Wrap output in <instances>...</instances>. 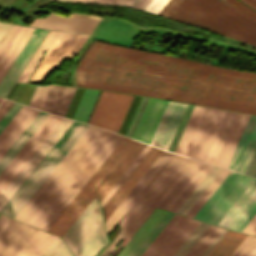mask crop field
<instances>
[{
    "label": "crop field",
    "mask_w": 256,
    "mask_h": 256,
    "mask_svg": "<svg viewBox=\"0 0 256 256\" xmlns=\"http://www.w3.org/2000/svg\"><path fill=\"white\" fill-rule=\"evenodd\" d=\"M76 86L256 114V73L93 41Z\"/></svg>",
    "instance_id": "obj_1"
},
{
    "label": "crop field",
    "mask_w": 256,
    "mask_h": 256,
    "mask_svg": "<svg viewBox=\"0 0 256 256\" xmlns=\"http://www.w3.org/2000/svg\"><path fill=\"white\" fill-rule=\"evenodd\" d=\"M159 14L256 46V12L238 0H169Z\"/></svg>",
    "instance_id": "obj_2"
},
{
    "label": "crop field",
    "mask_w": 256,
    "mask_h": 256,
    "mask_svg": "<svg viewBox=\"0 0 256 256\" xmlns=\"http://www.w3.org/2000/svg\"><path fill=\"white\" fill-rule=\"evenodd\" d=\"M256 213V179L230 172L194 218L241 232Z\"/></svg>",
    "instance_id": "obj_3"
},
{
    "label": "crop field",
    "mask_w": 256,
    "mask_h": 256,
    "mask_svg": "<svg viewBox=\"0 0 256 256\" xmlns=\"http://www.w3.org/2000/svg\"><path fill=\"white\" fill-rule=\"evenodd\" d=\"M122 138L104 130L29 224L47 231Z\"/></svg>",
    "instance_id": "obj_4"
},
{
    "label": "crop field",
    "mask_w": 256,
    "mask_h": 256,
    "mask_svg": "<svg viewBox=\"0 0 256 256\" xmlns=\"http://www.w3.org/2000/svg\"><path fill=\"white\" fill-rule=\"evenodd\" d=\"M145 146L146 144L124 137L48 232L62 237L95 196L98 202L101 200ZM107 174L108 177L95 191Z\"/></svg>",
    "instance_id": "obj_5"
},
{
    "label": "crop field",
    "mask_w": 256,
    "mask_h": 256,
    "mask_svg": "<svg viewBox=\"0 0 256 256\" xmlns=\"http://www.w3.org/2000/svg\"><path fill=\"white\" fill-rule=\"evenodd\" d=\"M192 161L193 159L177 154L174 155V157L164 167V169L155 178L151 185L146 189V191L141 195L137 202L123 217L121 220V229L117 236L99 256H109L125 235L128 238L131 237V235L141 225V223L155 208V206L178 180V178L187 169V167L192 163Z\"/></svg>",
    "instance_id": "obj_6"
},
{
    "label": "crop field",
    "mask_w": 256,
    "mask_h": 256,
    "mask_svg": "<svg viewBox=\"0 0 256 256\" xmlns=\"http://www.w3.org/2000/svg\"><path fill=\"white\" fill-rule=\"evenodd\" d=\"M87 127L88 125L74 121L16 193L1 209L0 213L14 218Z\"/></svg>",
    "instance_id": "obj_7"
},
{
    "label": "crop field",
    "mask_w": 256,
    "mask_h": 256,
    "mask_svg": "<svg viewBox=\"0 0 256 256\" xmlns=\"http://www.w3.org/2000/svg\"><path fill=\"white\" fill-rule=\"evenodd\" d=\"M225 112L195 106L174 152L204 161Z\"/></svg>",
    "instance_id": "obj_8"
},
{
    "label": "crop field",
    "mask_w": 256,
    "mask_h": 256,
    "mask_svg": "<svg viewBox=\"0 0 256 256\" xmlns=\"http://www.w3.org/2000/svg\"><path fill=\"white\" fill-rule=\"evenodd\" d=\"M103 129L89 126L48 178L25 204L15 219L28 223L65 176L75 166L88 148L93 144Z\"/></svg>",
    "instance_id": "obj_9"
},
{
    "label": "crop field",
    "mask_w": 256,
    "mask_h": 256,
    "mask_svg": "<svg viewBox=\"0 0 256 256\" xmlns=\"http://www.w3.org/2000/svg\"><path fill=\"white\" fill-rule=\"evenodd\" d=\"M62 238L75 256H96L105 246L108 240L95 198Z\"/></svg>",
    "instance_id": "obj_10"
},
{
    "label": "crop field",
    "mask_w": 256,
    "mask_h": 256,
    "mask_svg": "<svg viewBox=\"0 0 256 256\" xmlns=\"http://www.w3.org/2000/svg\"><path fill=\"white\" fill-rule=\"evenodd\" d=\"M75 34L50 31L42 41L41 45L25 67L17 81L26 82L29 74L42 56L44 50L49 47L44 59L33 74L29 83H42L51 72L52 68L65 51ZM46 51V50H45ZM31 75V74H30Z\"/></svg>",
    "instance_id": "obj_11"
},
{
    "label": "crop field",
    "mask_w": 256,
    "mask_h": 256,
    "mask_svg": "<svg viewBox=\"0 0 256 256\" xmlns=\"http://www.w3.org/2000/svg\"><path fill=\"white\" fill-rule=\"evenodd\" d=\"M198 223L174 214L141 256H172Z\"/></svg>",
    "instance_id": "obj_12"
},
{
    "label": "crop field",
    "mask_w": 256,
    "mask_h": 256,
    "mask_svg": "<svg viewBox=\"0 0 256 256\" xmlns=\"http://www.w3.org/2000/svg\"><path fill=\"white\" fill-rule=\"evenodd\" d=\"M134 95L102 92L89 124L118 131Z\"/></svg>",
    "instance_id": "obj_13"
},
{
    "label": "crop field",
    "mask_w": 256,
    "mask_h": 256,
    "mask_svg": "<svg viewBox=\"0 0 256 256\" xmlns=\"http://www.w3.org/2000/svg\"><path fill=\"white\" fill-rule=\"evenodd\" d=\"M61 117L49 114L25 145L0 174V193L47 137ZM57 126V125H56Z\"/></svg>",
    "instance_id": "obj_14"
},
{
    "label": "crop field",
    "mask_w": 256,
    "mask_h": 256,
    "mask_svg": "<svg viewBox=\"0 0 256 256\" xmlns=\"http://www.w3.org/2000/svg\"><path fill=\"white\" fill-rule=\"evenodd\" d=\"M211 167L212 165L194 160L163 201L161 200L159 206L157 205L158 208L176 212Z\"/></svg>",
    "instance_id": "obj_15"
},
{
    "label": "crop field",
    "mask_w": 256,
    "mask_h": 256,
    "mask_svg": "<svg viewBox=\"0 0 256 256\" xmlns=\"http://www.w3.org/2000/svg\"><path fill=\"white\" fill-rule=\"evenodd\" d=\"M72 122V120L63 118L62 121L58 124V126L48 136V138L42 143V145L37 149V151L32 155V157L26 162V164L17 173V175L13 178L9 185L0 194V209L5 205V203L14 194L18 187L23 183V181L28 177V175L33 171V169L38 165V163L43 159V157L48 153V151L53 147L57 140L72 124Z\"/></svg>",
    "instance_id": "obj_16"
},
{
    "label": "crop field",
    "mask_w": 256,
    "mask_h": 256,
    "mask_svg": "<svg viewBox=\"0 0 256 256\" xmlns=\"http://www.w3.org/2000/svg\"><path fill=\"white\" fill-rule=\"evenodd\" d=\"M173 153L163 151L162 154L157 158L153 165L148 169L144 176L139 180L135 187L125 197L121 204L116 208L112 215L105 222L107 234L117 224L120 218L130 209L135 201L140 197L144 190L154 180L158 173L173 157Z\"/></svg>",
    "instance_id": "obj_17"
},
{
    "label": "crop field",
    "mask_w": 256,
    "mask_h": 256,
    "mask_svg": "<svg viewBox=\"0 0 256 256\" xmlns=\"http://www.w3.org/2000/svg\"><path fill=\"white\" fill-rule=\"evenodd\" d=\"M100 19V17L88 15L61 16L51 13L46 18H36L30 26L90 34Z\"/></svg>",
    "instance_id": "obj_18"
},
{
    "label": "crop field",
    "mask_w": 256,
    "mask_h": 256,
    "mask_svg": "<svg viewBox=\"0 0 256 256\" xmlns=\"http://www.w3.org/2000/svg\"><path fill=\"white\" fill-rule=\"evenodd\" d=\"M15 220L6 217L0 224V237L8 230ZM38 229L16 221L0 238V256H15L18 251L32 238Z\"/></svg>",
    "instance_id": "obj_19"
},
{
    "label": "crop field",
    "mask_w": 256,
    "mask_h": 256,
    "mask_svg": "<svg viewBox=\"0 0 256 256\" xmlns=\"http://www.w3.org/2000/svg\"><path fill=\"white\" fill-rule=\"evenodd\" d=\"M149 151V150H148ZM162 150L152 147L110 199L102 207L104 213V219L111 215L115 208L120 204L124 197L129 193L133 186L143 176L147 169L152 165L156 158L161 154Z\"/></svg>",
    "instance_id": "obj_20"
},
{
    "label": "crop field",
    "mask_w": 256,
    "mask_h": 256,
    "mask_svg": "<svg viewBox=\"0 0 256 256\" xmlns=\"http://www.w3.org/2000/svg\"><path fill=\"white\" fill-rule=\"evenodd\" d=\"M255 149L256 116L251 115L227 168L244 174Z\"/></svg>",
    "instance_id": "obj_21"
},
{
    "label": "crop field",
    "mask_w": 256,
    "mask_h": 256,
    "mask_svg": "<svg viewBox=\"0 0 256 256\" xmlns=\"http://www.w3.org/2000/svg\"><path fill=\"white\" fill-rule=\"evenodd\" d=\"M186 105L178 102H168L150 143L151 145L168 149Z\"/></svg>",
    "instance_id": "obj_22"
},
{
    "label": "crop field",
    "mask_w": 256,
    "mask_h": 256,
    "mask_svg": "<svg viewBox=\"0 0 256 256\" xmlns=\"http://www.w3.org/2000/svg\"><path fill=\"white\" fill-rule=\"evenodd\" d=\"M168 101L149 98L132 134V138L150 143Z\"/></svg>",
    "instance_id": "obj_23"
},
{
    "label": "crop field",
    "mask_w": 256,
    "mask_h": 256,
    "mask_svg": "<svg viewBox=\"0 0 256 256\" xmlns=\"http://www.w3.org/2000/svg\"><path fill=\"white\" fill-rule=\"evenodd\" d=\"M47 31L35 29L17 58L15 59L14 63L0 82V96L4 97L23 67L25 66L26 62L44 37Z\"/></svg>",
    "instance_id": "obj_24"
},
{
    "label": "crop field",
    "mask_w": 256,
    "mask_h": 256,
    "mask_svg": "<svg viewBox=\"0 0 256 256\" xmlns=\"http://www.w3.org/2000/svg\"><path fill=\"white\" fill-rule=\"evenodd\" d=\"M39 110L23 105L0 133V158L38 114Z\"/></svg>",
    "instance_id": "obj_25"
},
{
    "label": "crop field",
    "mask_w": 256,
    "mask_h": 256,
    "mask_svg": "<svg viewBox=\"0 0 256 256\" xmlns=\"http://www.w3.org/2000/svg\"><path fill=\"white\" fill-rule=\"evenodd\" d=\"M250 115L237 113L229 129L226 139L215 161V165L227 167L242 131Z\"/></svg>",
    "instance_id": "obj_26"
},
{
    "label": "crop field",
    "mask_w": 256,
    "mask_h": 256,
    "mask_svg": "<svg viewBox=\"0 0 256 256\" xmlns=\"http://www.w3.org/2000/svg\"><path fill=\"white\" fill-rule=\"evenodd\" d=\"M75 89L73 87L52 85L41 109L63 116Z\"/></svg>",
    "instance_id": "obj_27"
},
{
    "label": "crop field",
    "mask_w": 256,
    "mask_h": 256,
    "mask_svg": "<svg viewBox=\"0 0 256 256\" xmlns=\"http://www.w3.org/2000/svg\"><path fill=\"white\" fill-rule=\"evenodd\" d=\"M47 115L48 113L40 111L39 114L34 118V120L29 124V126L24 130V132L19 136V138L14 142V144L9 148V150L4 154V156L0 159V172L10 162V160L24 145V143L33 134V132L42 123V121L47 117Z\"/></svg>",
    "instance_id": "obj_28"
},
{
    "label": "crop field",
    "mask_w": 256,
    "mask_h": 256,
    "mask_svg": "<svg viewBox=\"0 0 256 256\" xmlns=\"http://www.w3.org/2000/svg\"><path fill=\"white\" fill-rule=\"evenodd\" d=\"M165 213L166 211L156 209L154 213L149 217V219L144 223V225L139 229V231L134 235V237L129 241V243L125 246L119 256H130Z\"/></svg>",
    "instance_id": "obj_29"
},
{
    "label": "crop field",
    "mask_w": 256,
    "mask_h": 256,
    "mask_svg": "<svg viewBox=\"0 0 256 256\" xmlns=\"http://www.w3.org/2000/svg\"><path fill=\"white\" fill-rule=\"evenodd\" d=\"M245 236V234L228 230L207 256H230Z\"/></svg>",
    "instance_id": "obj_30"
},
{
    "label": "crop field",
    "mask_w": 256,
    "mask_h": 256,
    "mask_svg": "<svg viewBox=\"0 0 256 256\" xmlns=\"http://www.w3.org/2000/svg\"><path fill=\"white\" fill-rule=\"evenodd\" d=\"M33 31V28L24 27V29L16 39L15 43L13 44V46L11 47V49L9 50V52L7 53V55L0 64V81Z\"/></svg>",
    "instance_id": "obj_31"
},
{
    "label": "crop field",
    "mask_w": 256,
    "mask_h": 256,
    "mask_svg": "<svg viewBox=\"0 0 256 256\" xmlns=\"http://www.w3.org/2000/svg\"><path fill=\"white\" fill-rule=\"evenodd\" d=\"M222 168L213 166L208 174L204 177L201 183L189 196L187 201L185 200L181 207L178 209L177 213L185 215L186 212L191 208V206L196 202V200L201 196V194L206 190V188L211 184V182L216 178V176L221 172Z\"/></svg>",
    "instance_id": "obj_32"
},
{
    "label": "crop field",
    "mask_w": 256,
    "mask_h": 256,
    "mask_svg": "<svg viewBox=\"0 0 256 256\" xmlns=\"http://www.w3.org/2000/svg\"><path fill=\"white\" fill-rule=\"evenodd\" d=\"M235 114L236 113H234V112H229V111L226 112L224 119L221 123V126L218 130V133H217V135L214 139V142L211 146V149L208 153V156L205 160L206 162H209L212 164L214 163Z\"/></svg>",
    "instance_id": "obj_33"
},
{
    "label": "crop field",
    "mask_w": 256,
    "mask_h": 256,
    "mask_svg": "<svg viewBox=\"0 0 256 256\" xmlns=\"http://www.w3.org/2000/svg\"><path fill=\"white\" fill-rule=\"evenodd\" d=\"M99 92L100 91L97 90H85L81 98V101L77 107V110L72 118L73 120H77L84 123L86 122Z\"/></svg>",
    "instance_id": "obj_34"
},
{
    "label": "crop field",
    "mask_w": 256,
    "mask_h": 256,
    "mask_svg": "<svg viewBox=\"0 0 256 256\" xmlns=\"http://www.w3.org/2000/svg\"><path fill=\"white\" fill-rule=\"evenodd\" d=\"M221 230L222 228L210 225L185 256H201Z\"/></svg>",
    "instance_id": "obj_35"
},
{
    "label": "crop field",
    "mask_w": 256,
    "mask_h": 256,
    "mask_svg": "<svg viewBox=\"0 0 256 256\" xmlns=\"http://www.w3.org/2000/svg\"><path fill=\"white\" fill-rule=\"evenodd\" d=\"M229 170L223 169L222 172L217 176V178L212 182V184L207 188V190L202 194V196L197 200V202L192 206V208L187 212V216L193 217L198 209L203 205L219 183L228 174Z\"/></svg>",
    "instance_id": "obj_36"
},
{
    "label": "crop field",
    "mask_w": 256,
    "mask_h": 256,
    "mask_svg": "<svg viewBox=\"0 0 256 256\" xmlns=\"http://www.w3.org/2000/svg\"><path fill=\"white\" fill-rule=\"evenodd\" d=\"M209 224L200 222L199 225L194 229L190 236L185 240V242L180 246L173 256H184L187 251L192 247V245L197 241V239L202 235V233L207 229Z\"/></svg>",
    "instance_id": "obj_37"
},
{
    "label": "crop field",
    "mask_w": 256,
    "mask_h": 256,
    "mask_svg": "<svg viewBox=\"0 0 256 256\" xmlns=\"http://www.w3.org/2000/svg\"><path fill=\"white\" fill-rule=\"evenodd\" d=\"M89 35H83V34H76L56 66L54 67L53 71L59 66V64L65 59H70L72 60L73 57L76 55V53L79 51V49L82 47L84 42L87 40Z\"/></svg>",
    "instance_id": "obj_38"
},
{
    "label": "crop field",
    "mask_w": 256,
    "mask_h": 256,
    "mask_svg": "<svg viewBox=\"0 0 256 256\" xmlns=\"http://www.w3.org/2000/svg\"><path fill=\"white\" fill-rule=\"evenodd\" d=\"M173 213L167 212L166 215L161 219V221L156 225V227L151 231V233L146 237V239L141 243V245L136 249V251L131 256H140L145 248L150 244L154 237L159 233L167 221L172 217Z\"/></svg>",
    "instance_id": "obj_39"
},
{
    "label": "crop field",
    "mask_w": 256,
    "mask_h": 256,
    "mask_svg": "<svg viewBox=\"0 0 256 256\" xmlns=\"http://www.w3.org/2000/svg\"><path fill=\"white\" fill-rule=\"evenodd\" d=\"M151 146L147 145L145 149L140 153V155L134 160V162L128 167V169L123 173L117 183L110 189V191L103 197L99 202L101 207L109 199V197L114 193V191L119 187V185L124 181V179L129 175V173L134 169L138 162L143 158V156L148 152Z\"/></svg>",
    "instance_id": "obj_40"
},
{
    "label": "crop field",
    "mask_w": 256,
    "mask_h": 256,
    "mask_svg": "<svg viewBox=\"0 0 256 256\" xmlns=\"http://www.w3.org/2000/svg\"><path fill=\"white\" fill-rule=\"evenodd\" d=\"M47 235L48 233L39 230L16 256H29Z\"/></svg>",
    "instance_id": "obj_41"
},
{
    "label": "crop field",
    "mask_w": 256,
    "mask_h": 256,
    "mask_svg": "<svg viewBox=\"0 0 256 256\" xmlns=\"http://www.w3.org/2000/svg\"><path fill=\"white\" fill-rule=\"evenodd\" d=\"M23 29L22 26L15 25V27L12 29V31L9 33V35L6 37V39L3 41V43L0 45V62L12 46L13 42ZM2 99L0 98V101Z\"/></svg>",
    "instance_id": "obj_42"
},
{
    "label": "crop field",
    "mask_w": 256,
    "mask_h": 256,
    "mask_svg": "<svg viewBox=\"0 0 256 256\" xmlns=\"http://www.w3.org/2000/svg\"><path fill=\"white\" fill-rule=\"evenodd\" d=\"M50 86L51 85L45 87L37 86L28 105L40 109Z\"/></svg>",
    "instance_id": "obj_43"
},
{
    "label": "crop field",
    "mask_w": 256,
    "mask_h": 256,
    "mask_svg": "<svg viewBox=\"0 0 256 256\" xmlns=\"http://www.w3.org/2000/svg\"><path fill=\"white\" fill-rule=\"evenodd\" d=\"M256 243V237L247 235L231 256H245Z\"/></svg>",
    "instance_id": "obj_44"
},
{
    "label": "crop field",
    "mask_w": 256,
    "mask_h": 256,
    "mask_svg": "<svg viewBox=\"0 0 256 256\" xmlns=\"http://www.w3.org/2000/svg\"><path fill=\"white\" fill-rule=\"evenodd\" d=\"M21 104L14 103L13 106L8 110L4 117L0 120V132L7 125V123L12 119L16 112L21 108Z\"/></svg>",
    "instance_id": "obj_45"
},
{
    "label": "crop field",
    "mask_w": 256,
    "mask_h": 256,
    "mask_svg": "<svg viewBox=\"0 0 256 256\" xmlns=\"http://www.w3.org/2000/svg\"><path fill=\"white\" fill-rule=\"evenodd\" d=\"M56 238L57 236L49 234L30 256H40Z\"/></svg>",
    "instance_id": "obj_46"
},
{
    "label": "crop field",
    "mask_w": 256,
    "mask_h": 256,
    "mask_svg": "<svg viewBox=\"0 0 256 256\" xmlns=\"http://www.w3.org/2000/svg\"><path fill=\"white\" fill-rule=\"evenodd\" d=\"M167 2L168 0H151L144 10L158 14Z\"/></svg>",
    "instance_id": "obj_47"
},
{
    "label": "crop field",
    "mask_w": 256,
    "mask_h": 256,
    "mask_svg": "<svg viewBox=\"0 0 256 256\" xmlns=\"http://www.w3.org/2000/svg\"><path fill=\"white\" fill-rule=\"evenodd\" d=\"M150 0H120L118 4L138 9H144Z\"/></svg>",
    "instance_id": "obj_48"
},
{
    "label": "crop field",
    "mask_w": 256,
    "mask_h": 256,
    "mask_svg": "<svg viewBox=\"0 0 256 256\" xmlns=\"http://www.w3.org/2000/svg\"><path fill=\"white\" fill-rule=\"evenodd\" d=\"M141 97H142V96H141ZM141 97H140V99H141ZM135 98H136V95L134 96V98H133V100H132V103H131V105H130V107H129V109H128V112H127V114H126V116H125V119H124V121H123V123H122V125H121V128H120V130H119V132H118L119 134L121 133V131H122V129H123V126H124V124H125V122H126V119H127L128 115H129V112H130V110H131V107H132V105H133V103H134ZM138 99H139V95L137 96V98H136V100H135V103H134V105H133V107H132V110H131V112H130V115H129V117H128V119H127V122H126V124H125V126H124V129H125V127H126L128 121H129V119H130V117H131V115H132V112H133V110H134V108H135V106H136V103H137ZM140 99H139V101H140ZM139 101H138V103H139ZM138 103H137V105H138ZM136 108H137V106H136ZM136 108H135V110H136ZM135 110H134V112H135ZM133 114H134V113H133ZM132 117H133V115H132ZM132 117H131V119H132ZM131 119H130V121H131ZM129 123H130V122H129ZM128 125H129V124H128ZM127 128H128V126H127ZM127 128H126V130H127ZM124 129H123V131H124ZM126 130H125V132H126ZM123 131H122V133H123ZM125 132H124V134H125ZM122 133H121V134H122Z\"/></svg>",
    "instance_id": "obj_49"
},
{
    "label": "crop field",
    "mask_w": 256,
    "mask_h": 256,
    "mask_svg": "<svg viewBox=\"0 0 256 256\" xmlns=\"http://www.w3.org/2000/svg\"><path fill=\"white\" fill-rule=\"evenodd\" d=\"M63 244V241L57 238L53 244L42 254V256H53Z\"/></svg>",
    "instance_id": "obj_50"
},
{
    "label": "crop field",
    "mask_w": 256,
    "mask_h": 256,
    "mask_svg": "<svg viewBox=\"0 0 256 256\" xmlns=\"http://www.w3.org/2000/svg\"><path fill=\"white\" fill-rule=\"evenodd\" d=\"M79 89H80V88H77L76 91H75V93H74V96H73V98H72V100H71V103H70V105H69V107H68V109H67V111H66V113H65V116H66V117H67L68 114H69V111H70V109H71V106H72V104H73V101H74V99H75V97H76V95H77ZM84 90H85V89H83V91H82V88L80 89V91H79V93H78V95H77V97H76V99H75V101H74V104H73V106H72V109H71L70 114H69L68 117H70V115H71V113H72V110H73V108H74V106H75V104H76V101H77V99H78V97H79V95H80V93H81V91H82V93H81V95H80V97H79V99H78V101H77V104H76V106H75V108H74V111H73V113H72V115H71V117H70V118H72V116H73V114H74V112H75V110H76V107H77V105H78V103H79V101H80V98H81V96H82Z\"/></svg>",
    "instance_id": "obj_51"
},
{
    "label": "crop field",
    "mask_w": 256,
    "mask_h": 256,
    "mask_svg": "<svg viewBox=\"0 0 256 256\" xmlns=\"http://www.w3.org/2000/svg\"><path fill=\"white\" fill-rule=\"evenodd\" d=\"M14 27L12 24L2 23L0 22V44Z\"/></svg>",
    "instance_id": "obj_52"
},
{
    "label": "crop field",
    "mask_w": 256,
    "mask_h": 256,
    "mask_svg": "<svg viewBox=\"0 0 256 256\" xmlns=\"http://www.w3.org/2000/svg\"><path fill=\"white\" fill-rule=\"evenodd\" d=\"M145 101H146V98L143 97L142 100H141V102H140V105H139V107H138V109H137V111H136V114H135V116H134V118H133V121H132V123H131V125H130V127H129V130H128L127 134H126L127 136H130V134H131V132H132V130H133V127H134V125H135V123H136V121H137V119H138V116H139V114H140V112H141V110H142V107H143Z\"/></svg>",
    "instance_id": "obj_53"
},
{
    "label": "crop field",
    "mask_w": 256,
    "mask_h": 256,
    "mask_svg": "<svg viewBox=\"0 0 256 256\" xmlns=\"http://www.w3.org/2000/svg\"><path fill=\"white\" fill-rule=\"evenodd\" d=\"M242 232L252 234V235H256V215L247 224V226L243 229Z\"/></svg>",
    "instance_id": "obj_54"
},
{
    "label": "crop field",
    "mask_w": 256,
    "mask_h": 256,
    "mask_svg": "<svg viewBox=\"0 0 256 256\" xmlns=\"http://www.w3.org/2000/svg\"><path fill=\"white\" fill-rule=\"evenodd\" d=\"M13 102L8 100H4L3 103L0 105V119L3 115L7 112V110L12 106Z\"/></svg>",
    "instance_id": "obj_55"
},
{
    "label": "crop field",
    "mask_w": 256,
    "mask_h": 256,
    "mask_svg": "<svg viewBox=\"0 0 256 256\" xmlns=\"http://www.w3.org/2000/svg\"><path fill=\"white\" fill-rule=\"evenodd\" d=\"M226 229H223L222 232L217 236V238L212 242V244L208 247V249L203 253L202 256H206L211 249L216 245V243L221 239V237L226 233Z\"/></svg>",
    "instance_id": "obj_56"
},
{
    "label": "crop field",
    "mask_w": 256,
    "mask_h": 256,
    "mask_svg": "<svg viewBox=\"0 0 256 256\" xmlns=\"http://www.w3.org/2000/svg\"><path fill=\"white\" fill-rule=\"evenodd\" d=\"M119 0H75L74 2H97L107 4H117Z\"/></svg>",
    "instance_id": "obj_57"
},
{
    "label": "crop field",
    "mask_w": 256,
    "mask_h": 256,
    "mask_svg": "<svg viewBox=\"0 0 256 256\" xmlns=\"http://www.w3.org/2000/svg\"><path fill=\"white\" fill-rule=\"evenodd\" d=\"M71 252L64 244L54 256H68Z\"/></svg>",
    "instance_id": "obj_58"
},
{
    "label": "crop field",
    "mask_w": 256,
    "mask_h": 256,
    "mask_svg": "<svg viewBox=\"0 0 256 256\" xmlns=\"http://www.w3.org/2000/svg\"><path fill=\"white\" fill-rule=\"evenodd\" d=\"M241 1L256 10V0H241Z\"/></svg>",
    "instance_id": "obj_59"
},
{
    "label": "crop field",
    "mask_w": 256,
    "mask_h": 256,
    "mask_svg": "<svg viewBox=\"0 0 256 256\" xmlns=\"http://www.w3.org/2000/svg\"><path fill=\"white\" fill-rule=\"evenodd\" d=\"M19 85V83H14L13 87L11 88L10 92L8 93L7 97L8 99H10V97L12 96V94L14 93L15 89L17 88V86Z\"/></svg>",
    "instance_id": "obj_60"
},
{
    "label": "crop field",
    "mask_w": 256,
    "mask_h": 256,
    "mask_svg": "<svg viewBox=\"0 0 256 256\" xmlns=\"http://www.w3.org/2000/svg\"><path fill=\"white\" fill-rule=\"evenodd\" d=\"M246 256H256V244Z\"/></svg>",
    "instance_id": "obj_61"
},
{
    "label": "crop field",
    "mask_w": 256,
    "mask_h": 256,
    "mask_svg": "<svg viewBox=\"0 0 256 256\" xmlns=\"http://www.w3.org/2000/svg\"><path fill=\"white\" fill-rule=\"evenodd\" d=\"M5 218V216L1 215L0 216V222Z\"/></svg>",
    "instance_id": "obj_62"
},
{
    "label": "crop field",
    "mask_w": 256,
    "mask_h": 256,
    "mask_svg": "<svg viewBox=\"0 0 256 256\" xmlns=\"http://www.w3.org/2000/svg\"><path fill=\"white\" fill-rule=\"evenodd\" d=\"M69 256H73V254L71 253Z\"/></svg>",
    "instance_id": "obj_63"
},
{
    "label": "crop field",
    "mask_w": 256,
    "mask_h": 256,
    "mask_svg": "<svg viewBox=\"0 0 256 256\" xmlns=\"http://www.w3.org/2000/svg\"><path fill=\"white\" fill-rule=\"evenodd\" d=\"M69 1H74V0H69Z\"/></svg>",
    "instance_id": "obj_64"
},
{
    "label": "crop field",
    "mask_w": 256,
    "mask_h": 256,
    "mask_svg": "<svg viewBox=\"0 0 256 256\" xmlns=\"http://www.w3.org/2000/svg\"><path fill=\"white\" fill-rule=\"evenodd\" d=\"M256 176V175H255Z\"/></svg>",
    "instance_id": "obj_65"
}]
</instances>
